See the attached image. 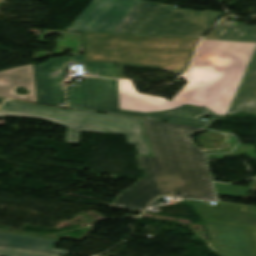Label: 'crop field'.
I'll return each instance as SVG.
<instances>
[{"label": "crop field", "instance_id": "3", "mask_svg": "<svg viewBox=\"0 0 256 256\" xmlns=\"http://www.w3.org/2000/svg\"><path fill=\"white\" fill-rule=\"evenodd\" d=\"M86 61L117 63L118 78L122 66H141L183 74L190 65L199 40L148 36L84 33Z\"/></svg>", "mask_w": 256, "mask_h": 256}, {"label": "crop field", "instance_id": "12", "mask_svg": "<svg viewBox=\"0 0 256 256\" xmlns=\"http://www.w3.org/2000/svg\"><path fill=\"white\" fill-rule=\"evenodd\" d=\"M240 111L256 113V49L227 114Z\"/></svg>", "mask_w": 256, "mask_h": 256}, {"label": "crop field", "instance_id": "6", "mask_svg": "<svg viewBox=\"0 0 256 256\" xmlns=\"http://www.w3.org/2000/svg\"><path fill=\"white\" fill-rule=\"evenodd\" d=\"M68 63H83L88 75L117 78L116 64L85 62L84 56L49 59L35 66L39 103L56 105L65 102L62 69Z\"/></svg>", "mask_w": 256, "mask_h": 256}, {"label": "crop field", "instance_id": "18", "mask_svg": "<svg viewBox=\"0 0 256 256\" xmlns=\"http://www.w3.org/2000/svg\"><path fill=\"white\" fill-rule=\"evenodd\" d=\"M253 256H256V230L244 228Z\"/></svg>", "mask_w": 256, "mask_h": 256}, {"label": "crop field", "instance_id": "16", "mask_svg": "<svg viewBox=\"0 0 256 256\" xmlns=\"http://www.w3.org/2000/svg\"><path fill=\"white\" fill-rule=\"evenodd\" d=\"M214 185H215L216 193L218 195H225L230 197H239L240 195H247L249 190L251 189L247 187L221 185L216 183H214Z\"/></svg>", "mask_w": 256, "mask_h": 256}, {"label": "crop field", "instance_id": "19", "mask_svg": "<svg viewBox=\"0 0 256 256\" xmlns=\"http://www.w3.org/2000/svg\"><path fill=\"white\" fill-rule=\"evenodd\" d=\"M0 83L4 84V85H7L9 83L8 76L1 78Z\"/></svg>", "mask_w": 256, "mask_h": 256}, {"label": "crop field", "instance_id": "15", "mask_svg": "<svg viewBox=\"0 0 256 256\" xmlns=\"http://www.w3.org/2000/svg\"><path fill=\"white\" fill-rule=\"evenodd\" d=\"M204 39L256 42V26H232L222 19Z\"/></svg>", "mask_w": 256, "mask_h": 256}, {"label": "crop field", "instance_id": "8", "mask_svg": "<svg viewBox=\"0 0 256 256\" xmlns=\"http://www.w3.org/2000/svg\"><path fill=\"white\" fill-rule=\"evenodd\" d=\"M140 0H93L66 30L109 33Z\"/></svg>", "mask_w": 256, "mask_h": 256}, {"label": "crop field", "instance_id": "5", "mask_svg": "<svg viewBox=\"0 0 256 256\" xmlns=\"http://www.w3.org/2000/svg\"><path fill=\"white\" fill-rule=\"evenodd\" d=\"M223 15L141 0L110 33L200 38Z\"/></svg>", "mask_w": 256, "mask_h": 256}, {"label": "crop field", "instance_id": "13", "mask_svg": "<svg viewBox=\"0 0 256 256\" xmlns=\"http://www.w3.org/2000/svg\"><path fill=\"white\" fill-rule=\"evenodd\" d=\"M205 116H210V119L207 120V122L198 121L200 117ZM224 118L225 117L214 115L212 112L206 110L205 108L182 106L176 110L162 113H151L148 119L209 128L214 121H223Z\"/></svg>", "mask_w": 256, "mask_h": 256}, {"label": "crop field", "instance_id": "1", "mask_svg": "<svg viewBox=\"0 0 256 256\" xmlns=\"http://www.w3.org/2000/svg\"><path fill=\"white\" fill-rule=\"evenodd\" d=\"M155 158L137 156L144 178L121 193L113 208L143 212L156 196L181 194L182 198L215 200L205 156L191 136L205 128L142 120Z\"/></svg>", "mask_w": 256, "mask_h": 256}, {"label": "crop field", "instance_id": "20", "mask_svg": "<svg viewBox=\"0 0 256 256\" xmlns=\"http://www.w3.org/2000/svg\"><path fill=\"white\" fill-rule=\"evenodd\" d=\"M0 232H4V231H0ZM6 233H19V232H6Z\"/></svg>", "mask_w": 256, "mask_h": 256}, {"label": "crop field", "instance_id": "7", "mask_svg": "<svg viewBox=\"0 0 256 256\" xmlns=\"http://www.w3.org/2000/svg\"><path fill=\"white\" fill-rule=\"evenodd\" d=\"M66 89L69 108L145 119L149 115L119 110L117 80L114 79L86 77V83L74 84V87Z\"/></svg>", "mask_w": 256, "mask_h": 256}, {"label": "crop field", "instance_id": "9", "mask_svg": "<svg viewBox=\"0 0 256 256\" xmlns=\"http://www.w3.org/2000/svg\"><path fill=\"white\" fill-rule=\"evenodd\" d=\"M204 221L256 229V207L217 202L215 208L190 200Z\"/></svg>", "mask_w": 256, "mask_h": 256}, {"label": "crop field", "instance_id": "17", "mask_svg": "<svg viewBox=\"0 0 256 256\" xmlns=\"http://www.w3.org/2000/svg\"><path fill=\"white\" fill-rule=\"evenodd\" d=\"M0 256H54V255L0 248Z\"/></svg>", "mask_w": 256, "mask_h": 256}, {"label": "crop field", "instance_id": "21", "mask_svg": "<svg viewBox=\"0 0 256 256\" xmlns=\"http://www.w3.org/2000/svg\"><path fill=\"white\" fill-rule=\"evenodd\" d=\"M3 101H4L3 99H0V104H1Z\"/></svg>", "mask_w": 256, "mask_h": 256}, {"label": "crop field", "instance_id": "2", "mask_svg": "<svg viewBox=\"0 0 256 256\" xmlns=\"http://www.w3.org/2000/svg\"><path fill=\"white\" fill-rule=\"evenodd\" d=\"M255 46L201 40L190 69L182 76L188 83L171 102L138 93L131 81L118 80L120 109L150 113L192 104L226 115Z\"/></svg>", "mask_w": 256, "mask_h": 256}, {"label": "crop field", "instance_id": "11", "mask_svg": "<svg viewBox=\"0 0 256 256\" xmlns=\"http://www.w3.org/2000/svg\"><path fill=\"white\" fill-rule=\"evenodd\" d=\"M60 239L32 234L0 233V247L66 256L68 251L52 249Z\"/></svg>", "mask_w": 256, "mask_h": 256}, {"label": "crop field", "instance_id": "14", "mask_svg": "<svg viewBox=\"0 0 256 256\" xmlns=\"http://www.w3.org/2000/svg\"><path fill=\"white\" fill-rule=\"evenodd\" d=\"M6 75H9L10 84L7 86L0 85V97L36 102L34 73L32 65L0 71V77ZM20 86L30 90L25 97L14 93L16 87Z\"/></svg>", "mask_w": 256, "mask_h": 256}, {"label": "crop field", "instance_id": "10", "mask_svg": "<svg viewBox=\"0 0 256 256\" xmlns=\"http://www.w3.org/2000/svg\"><path fill=\"white\" fill-rule=\"evenodd\" d=\"M210 241L223 256H252L243 228L205 222Z\"/></svg>", "mask_w": 256, "mask_h": 256}, {"label": "crop field", "instance_id": "4", "mask_svg": "<svg viewBox=\"0 0 256 256\" xmlns=\"http://www.w3.org/2000/svg\"><path fill=\"white\" fill-rule=\"evenodd\" d=\"M0 116H21L44 119L67 127L65 143H79L80 131L123 134L129 145H136L139 154L151 156L139 119L71 111L6 101Z\"/></svg>", "mask_w": 256, "mask_h": 256}]
</instances>
